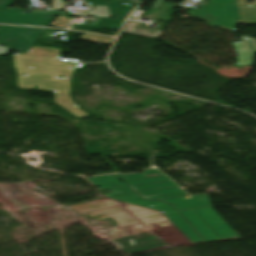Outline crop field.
<instances>
[{
	"label": "crop field",
	"mask_w": 256,
	"mask_h": 256,
	"mask_svg": "<svg viewBox=\"0 0 256 256\" xmlns=\"http://www.w3.org/2000/svg\"><path fill=\"white\" fill-rule=\"evenodd\" d=\"M79 214L112 217L118 227L112 229L115 245L127 254L188 239L160 212L107 199L73 207Z\"/></svg>",
	"instance_id": "crop-field-1"
},
{
	"label": "crop field",
	"mask_w": 256,
	"mask_h": 256,
	"mask_svg": "<svg viewBox=\"0 0 256 256\" xmlns=\"http://www.w3.org/2000/svg\"><path fill=\"white\" fill-rule=\"evenodd\" d=\"M14 69L17 72L18 87L54 91V101L77 118L88 116L81 111L70 98L72 76L77 70V61H66L57 57L20 53L12 54ZM75 67L74 69H70ZM26 76H21V74ZM57 76L63 78L58 79Z\"/></svg>",
	"instance_id": "crop-field-2"
},
{
	"label": "crop field",
	"mask_w": 256,
	"mask_h": 256,
	"mask_svg": "<svg viewBox=\"0 0 256 256\" xmlns=\"http://www.w3.org/2000/svg\"><path fill=\"white\" fill-rule=\"evenodd\" d=\"M115 177L124 179L143 198L164 201L171 204L176 210L211 206L207 195L190 196L157 169L127 176L115 175Z\"/></svg>",
	"instance_id": "crop-field-3"
},
{
	"label": "crop field",
	"mask_w": 256,
	"mask_h": 256,
	"mask_svg": "<svg viewBox=\"0 0 256 256\" xmlns=\"http://www.w3.org/2000/svg\"><path fill=\"white\" fill-rule=\"evenodd\" d=\"M163 214L192 242L240 239L211 207Z\"/></svg>",
	"instance_id": "crop-field-4"
},
{
	"label": "crop field",
	"mask_w": 256,
	"mask_h": 256,
	"mask_svg": "<svg viewBox=\"0 0 256 256\" xmlns=\"http://www.w3.org/2000/svg\"><path fill=\"white\" fill-rule=\"evenodd\" d=\"M94 186L100 188H110L114 193L106 194L108 198L118 201L134 204L137 206L157 210V211H170L175 210L171 205L163 203L158 200L149 201L143 199L139 194L134 192L126 182H118L117 178L112 176H102L96 178H87ZM153 205V207H149Z\"/></svg>",
	"instance_id": "crop-field-5"
},
{
	"label": "crop field",
	"mask_w": 256,
	"mask_h": 256,
	"mask_svg": "<svg viewBox=\"0 0 256 256\" xmlns=\"http://www.w3.org/2000/svg\"><path fill=\"white\" fill-rule=\"evenodd\" d=\"M208 3L209 5H202L197 10L188 11V14L204 19L210 27L235 29V19H239L237 0H208Z\"/></svg>",
	"instance_id": "crop-field-6"
},
{
	"label": "crop field",
	"mask_w": 256,
	"mask_h": 256,
	"mask_svg": "<svg viewBox=\"0 0 256 256\" xmlns=\"http://www.w3.org/2000/svg\"><path fill=\"white\" fill-rule=\"evenodd\" d=\"M44 29L0 26V44L15 52H27Z\"/></svg>",
	"instance_id": "crop-field-7"
},
{
	"label": "crop field",
	"mask_w": 256,
	"mask_h": 256,
	"mask_svg": "<svg viewBox=\"0 0 256 256\" xmlns=\"http://www.w3.org/2000/svg\"><path fill=\"white\" fill-rule=\"evenodd\" d=\"M24 9H8L0 11V23L47 26L55 15L64 16L62 11H38L24 14ZM36 11V13H34Z\"/></svg>",
	"instance_id": "crop-field-8"
},
{
	"label": "crop field",
	"mask_w": 256,
	"mask_h": 256,
	"mask_svg": "<svg viewBox=\"0 0 256 256\" xmlns=\"http://www.w3.org/2000/svg\"><path fill=\"white\" fill-rule=\"evenodd\" d=\"M245 1L246 0H238L240 20H236V24H256V3H247Z\"/></svg>",
	"instance_id": "crop-field-9"
},
{
	"label": "crop field",
	"mask_w": 256,
	"mask_h": 256,
	"mask_svg": "<svg viewBox=\"0 0 256 256\" xmlns=\"http://www.w3.org/2000/svg\"><path fill=\"white\" fill-rule=\"evenodd\" d=\"M162 1L156 0L144 16L170 22L172 17L170 6Z\"/></svg>",
	"instance_id": "crop-field-10"
},
{
	"label": "crop field",
	"mask_w": 256,
	"mask_h": 256,
	"mask_svg": "<svg viewBox=\"0 0 256 256\" xmlns=\"http://www.w3.org/2000/svg\"><path fill=\"white\" fill-rule=\"evenodd\" d=\"M138 24L139 22L133 23L127 21L122 32L158 39L161 33L160 31L137 29Z\"/></svg>",
	"instance_id": "crop-field-11"
},
{
	"label": "crop field",
	"mask_w": 256,
	"mask_h": 256,
	"mask_svg": "<svg viewBox=\"0 0 256 256\" xmlns=\"http://www.w3.org/2000/svg\"><path fill=\"white\" fill-rule=\"evenodd\" d=\"M78 40H83V41H88V42H93V43H101V44H111L112 43L111 38L95 36V35H91V34H87V33H84L82 36H80L78 38Z\"/></svg>",
	"instance_id": "crop-field-12"
},
{
	"label": "crop field",
	"mask_w": 256,
	"mask_h": 256,
	"mask_svg": "<svg viewBox=\"0 0 256 256\" xmlns=\"http://www.w3.org/2000/svg\"><path fill=\"white\" fill-rule=\"evenodd\" d=\"M64 2L62 0H52V9H62Z\"/></svg>",
	"instance_id": "crop-field-13"
},
{
	"label": "crop field",
	"mask_w": 256,
	"mask_h": 256,
	"mask_svg": "<svg viewBox=\"0 0 256 256\" xmlns=\"http://www.w3.org/2000/svg\"><path fill=\"white\" fill-rule=\"evenodd\" d=\"M10 4H11V0H0V9L9 7Z\"/></svg>",
	"instance_id": "crop-field-14"
},
{
	"label": "crop field",
	"mask_w": 256,
	"mask_h": 256,
	"mask_svg": "<svg viewBox=\"0 0 256 256\" xmlns=\"http://www.w3.org/2000/svg\"><path fill=\"white\" fill-rule=\"evenodd\" d=\"M114 1L124 2L128 4H133V5H136L137 3H139V1H136V0H114Z\"/></svg>",
	"instance_id": "crop-field-15"
},
{
	"label": "crop field",
	"mask_w": 256,
	"mask_h": 256,
	"mask_svg": "<svg viewBox=\"0 0 256 256\" xmlns=\"http://www.w3.org/2000/svg\"><path fill=\"white\" fill-rule=\"evenodd\" d=\"M9 48L0 45V55L9 54Z\"/></svg>",
	"instance_id": "crop-field-16"
}]
</instances>
